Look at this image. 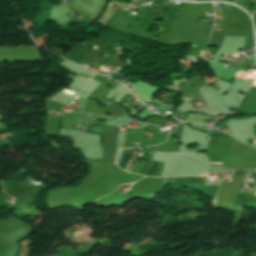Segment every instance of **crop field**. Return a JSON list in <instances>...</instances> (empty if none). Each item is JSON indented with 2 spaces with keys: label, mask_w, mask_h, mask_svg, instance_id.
Segmentation results:
<instances>
[{
  "label": "crop field",
  "mask_w": 256,
  "mask_h": 256,
  "mask_svg": "<svg viewBox=\"0 0 256 256\" xmlns=\"http://www.w3.org/2000/svg\"><path fill=\"white\" fill-rule=\"evenodd\" d=\"M175 183H185V184H195V185L205 186L203 178L201 179L176 178Z\"/></svg>",
  "instance_id": "1"
},
{
  "label": "crop field",
  "mask_w": 256,
  "mask_h": 256,
  "mask_svg": "<svg viewBox=\"0 0 256 256\" xmlns=\"http://www.w3.org/2000/svg\"><path fill=\"white\" fill-rule=\"evenodd\" d=\"M131 155H132V151L123 152L118 164L122 169H125Z\"/></svg>",
  "instance_id": "2"
},
{
  "label": "crop field",
  "mask_w": 256,
  "mask_h": 256,
  "mask_svg": "<svg viewBox=\"0 0 256 256\" xmlns=\"http://www.w3.org/2000/svg\"><path fill=\"white\" fill-rule=\"evenodd\" d=\"M158 166L157 164H153L151 163L146 175L147 176H155L156 175V172H157V169H158Z\"/></svg>",
  "instance_id": "3"
},
{
  "label": "crop field",
  "mask_w": 256,
  "mask_h": 256,
  "mask_svg": "<svg viewBox=\"0 0 256 256\" xmlns=\"http://www.w3.org/2000/svg\"><path fill=\"white\" fill-rule=\"evenodd\" d=\"M210 162H221V160L210 159ZM210 166H223V164H210Z\"/></svg>",
  "instance_id": "4"
},
{
  "label": "crop field",
  "mask_w": 256,
  "mask_h": 256,
  "mask_svg": "<svg viewBox=\"0 0 256 256\" xmlns=\"http://www.w3.org/2000/svg\"><path fill=\"white\" fill-rule=\"evenodd\" d=\"M241 199H243V200H247V201H251V202H253L254 200H253V198H250V197H245V196H242V198Z\"/></svg>",
  "instance_id": "5"
},
{
  "label": "crop field",
  "mask_w": 256,
  "mask_h": 256,
  "mask_svg": "<svg viewBox=\"0 0 256 256\" xmlns=\"http://www.w3.org/2000/svg\"><path fill=\"white\" fill-rule=\"evenodd\" d=\"M149 163H150V160H147V161H146V164H145V166H144V168H143V170H142V172H141V174L144 173V171L146 170V168H147V166H148Z\"/></svg>",
  "instance_id": "6"
},
{
  "label": "crop field",
  "mask_w": 256,
  "mask_h": 256,
  "mask_svg": "<svg viewBox=\"0 0 256 256\" xmlns=\"http://www.w3.org/2000/svg\"><path fill=\"white\" fill-rule=\"evenodd\" d=\"M163 164H164V163L162 162L156 176H159V175H160V173H161V171H162Z\"/></svg>",
  "instance_id": "7"
},
{
  "label": "crop field",
  "mask_w": 256,
  "mask_h": 256,
  "mask_svg": "<svg viewBox=\"0 0 256 256\" xmlns=\"http://www.w3.org/2000/svg\"><path fill=\"white\" fill-rule=\"evenodd\" d=\"M255 194H256V191H255Z\"/></svg>",
  "instance_id": "8"
},
{
  "label": "crop field",
  "mask_w": 256,
  "mask_h": 256,
  "mask_svg": "<svg viewBox=\"0 0 256 256\" xmlns=\"http://www.w3.org/2000/svg\"><path fill=\"white\" fill-rule=\"evenodd\" d=\"M137 93V92H136ZM138 94V93H137Z\"/></svg>",
  "instance_id": "9"
}]
</instances>
